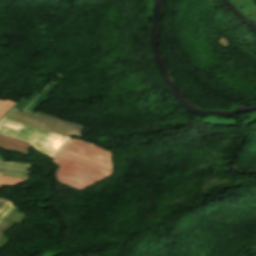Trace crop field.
<instances>
[{
	"label": "crop field",
	"mask_w": 256,
	"mask_h": 256,
	"mask_svg": "<svg viewBox=\"0 0 256 256\" xmlns=\"http://www.w3.org/2000/svg\"><path fill=\"white\" fill-rule=\"evenodd\" d=\"M5 119L12 120L67 138H71L72 136L81 137L80 131L84 130V127L71 124L40 113L31 114L23 111H12L5 117Z\"/></svg>",
	"instance_id": "3"
},
{
	"label": "crop field",
	"mask_w": 256,
	"mask_h": 256,
	"mask_svg": "<svg viewBox=\"0 0 256 256\" xmlns=\"http://www.w3.org/2000/svg\"><path fill=\"white\" fill-rule=\"evenodd\" d=\"M4 200H0V206L3 204Z\"/></svg>",
	"instance_id": "9"
},
{
	"label": "crop field",
	"mask_w": 256,
	"mask_h": 256,
	"mask_svg": "<svg viewBox=\"0 0 256 256\" xmlns=\"http://www.w3.org/2000/svg\"><path fill=\"white\" fill-rule=\"evenodd\" d=\"M26 179L23 178H15V177H7L0 175V185H12L24 182Z\"/></svg>",
	"instance_id": "6"
},
{
	"label": "crop field",
	"mask_w": 256,
	"mask_h": 256,
	"mask_svg": "<svg viewBox=\"0 0 256 256\" xmlns=\"http://www.w3.org/2000/svg\"><path fill=\"white\" fill-rule=\"evenodd\" d=\"M62 150L112 169V154L89 143L70 139Z\"/></svg>",
	"instance_id": "4"
},
{
	"label": "crop field",
	"mask_w": 256,
	"mask_h": 256,
	"mask_svg": "<svg viewBox=\"0 0 256 256\" xmlns=\"http://www.w3.org/2000/svg\"><path fill=\"white\" fill-rule=\"evenodd\" d=\"M60 168L56 172L59 182L80 191L110 176L112 170L60 150L54 157Z\"/></svg>",
	"instance_id": "1"
},
{
	"label": "crop field",
	"mask_w": 256,
	"mask_h": 256,
	"mask_svg": "<svg viewBox=\"0 0 256 256\" xmlns=\"http://www.w3.org/2000/svg\"><path fill=\"white\" fill-rule=\"evenodd\" d=\"M0 133L30 142L37 150L53 156L67 138L3 119Z\"/></svg>",
	"instance_id": "2"
},
{
	"label": "crop field",
	"mask_w": 256,
	"mask_h": 256,
	"mask_svg": "<svg viewBox=\"0 0 256 256\" xmlns=\"http://www.w3.org/2000/svg\"><path fill=\"white\" fill-rule=\"evenodd\" d=\"M14 104V102L5 99L0 101V117Z\"/></svg>",
	"instance_id": "8"
},
{
	"label": "crop field",
	"mask_w": 256,
	"mask_h": 256,
	"mask_svg": "<svg viewBox=\"0 0 256 256\" xmlns=\"http://www.w3.org/2000/svg\"><path fill=\"white\" fill-rule=\"evenodd\" d=\"M14 207L11 206L9 202L6 201V203L3 205V207L0 209V222L8 215V213L13 209Z\"/></svg>",
	"instance_id": "7"
},
{
	"label": "crop field",
	"mask_w": 256,
	"mask_h": 256,
	"mask_svg": "<svg viewBox=\"0 0 256 256\" xmlns=\"http://www.w3.org/2000/svg\"><path fill=\"white\" fill-rule=\"evenodd\" d=\"M0 147L18 151L27 156L28 148L31 146L27 142L20 141L0 134Z\"/></svg>",
	"instance_id": "5"
}]
</instances>
